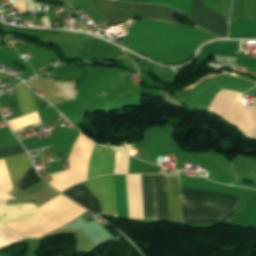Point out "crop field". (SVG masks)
<instances>
[{
	"instance_id": "obj_1",
	"label": "crop field",
	"mask_w": 256,
	"mask_h": 256,
	"mask_svg": "<svg viewBox=\"0 0 256 256\" xmlns=\"http://www.w3.org/2000/svg\"><path fill=\"white\" fill-rule=\"evenodd\" d=\"M183 223H228L238 202L236 196L181 188Z\"/></svg>"
},
{
	"instance_id": "obj_2",
	"label": "crop field",
	"mask_w": 256,
	"mask_h": 256,
	"mask_svg": "<svg viewBox=\"0 0 256 256\" xmlns=\"http://www.w3.org/2000/svg\"><path fill=\"white\" fill-rule=\"evenodd\" d=\"M144 219H168L163 175H140ZM169 219L182 222L178 178H166Z\"/></svg>"
},
{
	"instance_id": "obj_3",
	"label": "crop field",
	"mask_w": 256,
	"mask_h": 256,
	"mask_svg": "<svg viewBox=\"0 0 256 256\" xmlns=\"http://www.w3.org/2000/svg\"><path fill=\"white\" fill-rule=\"evenodd\" d=\"M115 25L132 17L177 23L174 15L182 13L162 5L129 4L111 0H93L89 8Z\"/></svg>"
},
{
	"instance_id": "obj_4",
	"label": "crop field",
	"mask_w": 256,
	"mask_h": 256,
	"mask_svg": "<svg viewBox=\"0 0 256 256\" xmlns=\"http://www.w3.org/2000/svg\"><path fill=\"white\" fill-rule=\"evenodd\" d=\"M190 19L206 31L227 37L229 19L204 7V0H192Z\"/></svg>"
},
{
	"instance_id": "obj_5",
	"label": "crop field",
	"mask_w": 256,
	"mask_h": 256,
	"mask_svg": "<svg viewBox=\"0 0 256 256\" xmlns=\"http://www.w3.org/2000/svg\"><path fill=\"white\" fill-rule=\"evenodd\" d=\"M100 203L103 214L117 217L113 175L83 182Z\"/></svg>"
},
{
	"instance_id": "obj_6",
	"label": "crop field",
	"mask_w": 256,
	"mask_h": 256,
	"mask_svg": "<svg viewBox=\"0 0 256 256\" xmlns=\"http://www.w3.org/2000/svg\"><path fill=\"white\" fill-rule=\"evenodd\" d=\"M115 154L116 150L96 145L90 159L88 179L103 174H113Z\"/></svg>"
},
{
	"instance_id": "obj_7",
	"label": "crop field",
	"mask_w": 256,
	"mask_h": 256,
	"mask_svg": "<svg viewBox=\"0 0 256 256\" xmlns=\"http://www.w3.org/2000/svg\"><path fill=\"white\" fill-rule=\"evenodd\" d=\"M78 193H81L82 195H79ZM63 194L96 213H102L99 203L96 200L97 198L95 199V197L90 193L83 183H79L65 190Z\"/></svg>"
},
{
	"instance_id": "obj_8",
	"label": "crop field",
	"mask_w": 256,
	"mask_h": 256,
	"mask_svg": "<svg viewBox=\"0 0 256 256\" xmlns=\"http://www.w3.org/2000/svg\"><path fill=\"white\" fill-rule=\"evenodd\" d=\"M10 174L13 186L20 177L32 166L27 154L4 159Z\"/></svg>"
},
{
	"instance_id": "obj_9",
	"label": "crop field",
	"mask_w": 256,
	"mask_h": 256,
	"mask_svg": "<svg viewBox=\"0 0 256 256\" xmlns=\"http://www.w3.org/2000/svg\"><path fill=\"white\" fill-rule=\"evenodd\" d=\"M14 90L23 115L38 110L30 89L24 83L19 84Z\"/></svg>"
},
{
	"instance_id": "obj_10",
	"label": "crop field",
	"mask_w": 256,
	"mask_h": 256,
	"mask_svg": "<svg viewBox=\"0 0 256 256\" xmlns=\"http://www.w3.org/2000/svg\"><path fill=\"white\" fill-rule=\"evenodd\" d=\"M40 180H42V179L38 176L34 167L32 166V168L19 181L17 186H18L19 189H21L23 191V190L31 187L35 183L39 182Z\"/></svg>"
},
{
	"instance_id": "obj_11",
	"label": "crop field",
	"mask_w": 256,
	"mask_h": 256,
	"mask_svg": "<svg viewBox=\"0 0 256 256\" xmlns=\"http://www.w3.org/2000/svg\"><path fill=\"white\" fill-rule=\"evenodd\" d=\"M23 152H26V151L20 144L16 146L4 148L0 150V159L7 156H11V155L21 154Z\"/></svg>"
}]
</instances>
